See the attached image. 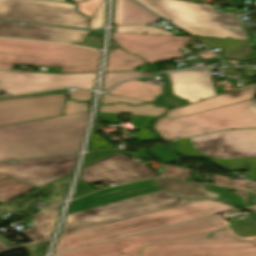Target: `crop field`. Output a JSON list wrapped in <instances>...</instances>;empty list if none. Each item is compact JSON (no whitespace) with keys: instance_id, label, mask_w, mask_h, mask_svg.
Listing matches in <instances>:
<instances>
[{"instance_id":"1","label":"crop field","mask_w":256,"mask_h":256,"mask_svg":"<svg viewBox=\"0 0 256 256\" xmlns=\"http://www.w3.org/2000/svg\"><path fill=\"white\" fill-rule=\"evenodd\" d=\"M88 112L0 127V161L79 152Z\"/></svg>"},{"instance_id":"2","label":"crop field","mask_w":256,"mask_h":256,"mask_svg":"<svg viewBox=\"0 0 256 256\" xmlns=\"http://www.w3.org/2000/svg\"><path fill=\"white\" fill-rule=\"evenodd\" d=\"M233 209V207L212 200H206L174 209L134 217L61 237L57 242L54 253Z\"/></svg>"},{"instance_id":"3","label":"crop field","mask_w":256,"mask_h":256,"mask_svg":"<svg viewBox=\"0 0 256 256\" xmlns=\"http://www.w3.org/2000/svg\"><path fill=\"white\" fill-rule=\"evenodd\" d=\"M136 1L194 36L249 40L236 13L215 12L212 5L176 0Z\"/></svg>"},{"instance_id":"4","label":"crop field","mask_w":256,"mask_h":256,"mask_svg":"<svg viewBox=\"0 0 256 256\" xmlns=\"http://www.w3.org/2000/svg\"><path fill=\"white\" fill-rule=\"evenodd\" d=\"M100 52L70 45L0 39V68L13 64L63 67L62 73L96 72Z\"/></svg>"},{"instance_id":"5","label":"crop field","mask_w":256,"mask_h":256,"mask_svg":"<svg viewBox=\"0 0 256 256\" xmlns=\"http://www.w3.org/2000/svg\"><path fill=\"white\" fill-rule=\"evenodd\" d=\"M175 151L232 171L256 169V130L223 131L175 141Z\"/></svg>"},{"instance_id":"6","label":"crop field","mask_w":256,"mask_h":256,"mask_svg":"<svg viewBox=\"0 0 256 256\" xmlns=\"http://www.w3.org/2000/svg\"><path fill=\"white\" fill-rule=\"evenodd\" d=\"M206 199L188 201L178 199L162 190L114 204L67 215L61 236L102 224L174 208Z\"/></svg>"},{"instance_id":"7","label":"crop field","mask_w":256,"mask_h":256,"mask_svg":"<svg viewBox=\"0 0 256 256\" xmlns=\"http://www.w3.org/2000/svg\"><path fill=\"white\" fill-rule=\"evenodd\" d=\"M252 100L178 118H158L154 128L167 141L228 128L256 127V114L247 106Z\"/></svg>"},{"instance_id":"8","label":"crop field","mask_w":256,"mask_h":256,"mask_svg":"<svg viewBox=\"0 0 256 256\" xmlns=\"http://www.w3.org/2000/svg\"><path fill=\"white\" fill-rule=\"evenodd\" d=\"M227 228L215 217L180 224L56 256H140L143 246Z\"/></svg>"},{"instance_id":"9","label":"crop field","mask_w":256,"mask_h":256,"mask_svg":"<svg viewBox=\"0 0 256 256\" xmlns=\"http://www.w3.org/2000/svg\"><path fill=\"white\" fill-rule=\"evenodd\" d=\"M143 247L141 256H256V242L234 236L229 229Z\"/></svg>"},{"instance_id":"10","label":"crop field","mask_w":256,"mask_h":256,"mask_svg":"<svg viewBox=\"0 0 256 256\" xmlns=\"http://www.w3.org/2000/svg\"><path fill=\"white\" fill-rule=\"evenodd\" d=\"M0 19L71 26L88 29L87 18L74 4L39 0H0Z\"/></svg>"},{"instance_id":"11","label":"crop field","mask_w":256,"mask_h":256,"mask_svg":"<svg viewBox=\"0 0 256 256\" xmlns=\"http://www.w3.org/2000/svg\"><path fill=\"white\" fill-rule=\"evenodd\" d=\"M78 154L48 157L31 160H18L17 164L10 161L0 163V179L13 178L18 181L41 187L74 170Z\"/></svg>"},{"instance_id":"12","label":"crop field","mask_w":256,"mask_h":256,"mask_svg":"<svg viewBox=\"0 0 256 256\" xmlns=\"http://www.w3.org/2000/svg\"><path fill=\"white\" fill-rule=\"evenodd\" d=\"M96 74L54 75L0 70V90L11 95L69 86L94 88Z\"/></svg>"},{"instance_id":"13","label":"crop field","mask_w":256,"mask_h":256,"mask_svg":"<svg viewBox=\"0 0 256 256\" xmlns=\"http://www.w3.org/2000/svg\"><path fill=\"white\" fill-rule=\"evenodd\" d=\"M67 94L0 100V126L61 115Z\"/></svg>"},{"instance_id":"14","label":"crop field","mask_w":256,"mask_h":256,"mask_svg":"<svg viewBox=\"0 0 256 256\" xmlns=\"http://www.w3.org/2000/svg\"><path fill=\"white\" fill-rule=\"evenodd\" d=\"M112 38L123 49L143 57L150 63L183 57L178 49L186 47L177 41L184 38L181 36L112 33Z\"/></svg>"},{"instance_id":"15","label":"crop field","mask_w":256,"mask_h":256,"mask_svg":"<svg viewBox=\"0 0 256 256\" xmlns=\"http://www.w3.org/2000/svg\"><path fill=\"white\" fill-rule=\"evenodd\" d=\"M157 176L144 164L138 165L133 159L129 160L123 155H117L82 170L80 178L86 183L119 184Z\"/></svg>"},{"instance_id":"16","label":"crop field","mask_w":256,"mask_h":256,"mask_svg":"<svg viewBox=\"0 0 256 256\" xmlns=\"http://www.w3.org/2000/svg\"><path fill=\"white\" fill-rule=\"evenodd\" d=\"M88 31L46 27L34 24L19 25L18 22L0 21V37L79 43Z\"/></svg>"},{"instance_id":"17","label":"crop field","mask_w":256,"mask_h":256,"mask_svg":"<svg viewBox=\"0 0 256 256\" xmlns=\"http://www.w3.org/2000/svg\"><path fill=\"white\" fill-rule=\"evenodd\" d=\"M166 75L171 77L174 94L192 103L216 95L209 69L174 71Z\"/></svg>"},{"instance_id":"18","label":"crop field","mask_w":256,"mask_h":256,"mask_svg":"<svg viewBox=\"0 0 256 256\" xmlns=\"http://www.w3.org/2000/svg\"><path fill=\"white\" fill-rule=\"evenodd\" d=\"M256 89L255 84H250L220 96L209 98L198 103L185 106L179 109L170 110L169 113L163 117L177 118L245 100L252 99Z\"/></svg>"},{"instance_id":"19","label":"crop field","mask_w":256,"mask_h":256,"mask_svg":"<svg viewBox=\"0 0 256 256\" xmlns=\"http://www.w3.org/2000/svg\"><path fill=\"white\" fill-rule=\"evenodd\" d=\"M60 206L30 217L34 219V221H32V224L36 227L30 230L23 228L26 231L21 233L33 240L34 242L22 246L9 248L0 241V253L49 240L58 218Z\"/></svg>"},{"instance_id":"20","label":"crop field","mask_w":256,"mask_h":256,"mask_svg":"<svg viewBox=\"0 0 256 256\" xmlns=\"http://www.w3.org/2000/svg\"><path fill=\"white\" fill-rule=\"evenodd\" d=\"M161 20L131 0H117L114 25L131 23L151 24Z\"/></svg>"},{"instance_id":"21","label":"crop field","mask_w":256,"mask_h":256,"mask_svg":"<svg viewBox=\"0 0 256 256\" xmlns=\"http://www.w3.org/2000/svg\"><path fill=\"white\" fill-rule=\"evenodd\" d=\"M163 88L161 85L133 80L116 86L108 94L153 102L156 96L162 94Z\"/></svg>"},{"instance_id":"22","label":"crop field","mask_w":256,"mask_h":256,"mask_svg":"<svg viewBox=\"0 0 256 256\" xmlns=\"http://www.w3.org/2000/svg\"><path fill=\"white\" fill-rule=\"evenodd\" d=\"M157 184L165 190H168L178 197H183L187 199H197V198H207V199H217L218 193L209 192L203 189L202 184L159 178L155 179Z\"/></svg>"},{"instance_id":"23","label":"crop field","mask_w":256,"mask_h":256,"mask_svg":"<svg viewBox=\"0 0 256 256\" xmlns=\"http://www.w3.org/2000/svg\"><path fill=\"white\" fill-rule=\"evenodd\" d=\"M197 38L205 43L209 48L224 47V56L222 58L245 60V58L253 49L252 47H248L249 41L203 37Z\"/></svg>"},{"instance_id":"24","label":"crop field","mask_w":256,"mask_h":256,"mask_svg":"<svg viewBox=\"0 0 256 256\" xmlns=\"http://www.w3.org/2000/svg\"><path fill=\"white\" fill-rule=\"evenodd\" d=\"M110 50L106 71L135 70L133 69L135 66L147 63L140 57L131 55L115 46L112 39Z\"/></svg>"},{"instance_id":"25","label":"crop field","mask_w":256,"mask_h":256,"mask_svg":"<svg viewBox=\"0 0 256 256\" xmlns=\"http://www.w3.org/2000/svg\"><path fill=\"white\" fill-rule=\"evenodd\" d=\"M166 110V107H156L155 103L144 106H128L126 104H114L111 106L102 105L99 112L113 114H134L138 116H157L164 114Z\"/></svg>"},{"instance_id":"26","label":"crop field","mask_w":256,"mask_h":256,"mask_svg":"<svg viewBox=\"0 0 256 256\" xmlns=\"http://www.w3.org/2000/svg\"><path fill=\"white\" fill-rule=\"evenodd\" d=\"M34 188L13 179L0 181V203Z\"/></svg>"},{"instance_id":"27","label":"crop field","mask_w":256,"mask_h":256,"mask_svg":"<svg viewBox=\"0 0 256 256\" xmlns=\"http://www.w3.org/2000/svg\"><path fill=\"white\" fill-rule=\"evenodd\" d=\"M132 120L129 122L135 129L139 130V134L136 137L141 142L151 141L157 139L154 133L148 131L151 122L155 117H138L131 115L129 116Z\"/></svg>"},{"instance_id":"28","label":"crop field","mask_w":256,"mask_h":256,"mask_svg":"<svg viewBox=\"0 0 256 256\" xmlns=\"http://www.w3.org/2000/svg\"><path fill=\"white\" fill-rule=\"evenodd\" d=\"M229 226L238 236H256V221L250 218L230 222Z\"/></svg>"},{"instance_id":"29","label":"crop field","mask_w":256,"mask_h":256,"mask_svg":"<svg viewBox=\"0 0 256 256\" xmlns=\"http://www.w3.org/2000/svg\"><path fill=\"white\" fill-rule=\"evenodd\" d=\"M140 76H144V75H142L139 72L106 73L104 83H103V91L110 89L118 82L140 77Z\"/></svg>"},{"instance_id":"30","label":"crop field","mask_w":256,"mask_h":256,"mask_svg":"<svg viewBox=\"0 0 256 256\" xmlns=\"http://www.w3.org/2000/svg\"><path fill=\"white\" fill-rule=\"evenodd\" d=\"M117 32H133L143 34H167L174 35V33L154 27L141 26V25H130L117 28Z\"/></svg>"},{"instance_id":"31","label":"crop field","mask_w":256,"mask_h":256,"mask_svg":"<svg viewBox=\"0 0 256 256\" xmlns=\"http://www.w3.org/2000/svg\"><path fill=\"white\" fill-rule=\"evenodd\" d=\"M170 147L171 145H166V146L150 148L147 150L156 158H158L161 162L172 163L175 160H177L178 157L177 155L173 154L170 151Z\"/></svg>"},{"instance_id":"32","label":"crop field","mask_w":256,"mask_h":256,"mask_svg":"<svg viewBox=\"0 0 256 256\" xmlns=\"http://www.w3.org/2000/svg\"><path fill=\"white\" fill-rule=\"evenodd\" d=\"M158 103L160 104H166V105H172V106H177V107H182L188 104H191L189 102H186L172 94L171 87H170V82L168 81L165 95L162 97H159L157 99Z\"/></svg>"},{"instance_id":"33","label":"crop field","mask_w":256,"mask_h":256,"mask_svg":"<svg viewBox=\"0 0 256 256\" xmlns=\"http://www.w3.org/2000/svg\"><path fill=\"white\" fill-rule=\"evenodd\" d=\"M213 177H214L215 185H223V186H229V187L249 190L248 185L250 182L241 181V180H233L230 178L221 177V176H217L214 174H213Z\"/></svg>"},{"instance_id":"34","label":"crop field","mask_w":256,"mask_h":256,"mask_svg":"<svg viewBox=\"0 0 256 256\" xmlns=\"http://www.w3.org/2000/svg\"><path fill=\"white\" fill-rule=\"evenodd\" d=\"M106 9V0H103L95 13L90 18V29L101 28L104 25V15Z\"/></svg>"},{"instance_id":"35","label":"crop field","mask_w":256,"mask_h":256,"mask_svg":"<svg viewBox=\"0 0 256 256\" xmlns=\"http://www.w3.org/2000/svg\"><path fill=\"white\" fill-rule=\"evenodd\" d=\"M108 148H114V147L109 145L103 138L97 136L94 132H92L91 138L89 141L88 150L94 151V150H102V149H108Z\"/></svg>"},{"instance_id":"36","label":"crop field","mask_w":256,"mask_h":256,"mask_svg":"<svg viewBox=\"0 0 256 256\" xmlns=\"http://www.w3.org/2000/svg\"><path fill=\"white\" fill-rule=\"evenodd\" d=\"M190 172L191 169L177 168L167 165L163 175L167 177L186 179Z\"/></svg>"},{"instance_id":"37","label":"crop field","mask_w":256,"mask_h":256,"mask_svg":"<svg viewBox=\"0 0 256 256\" xmlns=\"http://www.w3.org/2000/svg\"><path fill=\"white\" fill-rule=\"evenodd\" d=\"M80 111H88L87 103H77L72 100H67L63 115Z\"/></svg>"},{"instance_id":"38","label":"crop field","mask_w":256,"mask_h":256,"mask_svg":"<svg viewBox=\"0 0 256 256\" xmlns=\"http://www.w3.org/2000/svg\"><path fill=\"white\" fill-rule=\"evenodd\" d=\"M102 0H89L85 3L79 4V11L89 17L94 13Z\"/></svg>"},{"instance_id":"39","label":"crop field","mask_w":256,"mask_h":256,"mask_svg":"<svg viewBox=\"0 0 256 256\" xmlns=\"http://www.w3.org/2000/svg\"><path fill=\"white\" fill-rule=\"evenodd\" d=\"M118 151H122V150H110V151H103V152H96V153H87L84 167Z\"/></svg>"},{"instance_id":"40","label":"crop field","mask_w":256,"mask_h":256,"mask_svg":"<svg viewBox=\"0 0 256 256\" xmlns=\"http://www.w3.org/2000/svg\"><path fill=\"white\" fill-rule=\"evenodd\" d=\"M115 102H125L127 104H132V105L145 103L143 101H137V100H132V99H127V98L116 97V96L104 94L102 104H111V103H115Z\"/></svg>"},{"instance_id":"41","label":"crop field","mask_w":256,"mask_h":256,"mask_svg":"<svg viewBox=\"0 0 256 256\" xmlns=\"http://www.w3.org/2000/svg\"><path fill=\"white\" fill-rule=\"evenodd\" d=\"M71 98L77 101H84V100H89L91 99L92 92L82 90V89H77L73 91H69Z\"/></svg>"},{"instance_id":"42","label":"crop field","mask_w":256,"mask_h":256,"mask_svg":"<svg viewBox=\"0 0 256 256\" xmlns=\"http://www.w3.org/2000/svg\"><path fill=\"white\" fill-rule=\"evenodd\" d=\"M48 242L28 246L26 249L29 251L30 256H40L45 252Z\"/></svg>"},{"instance_id":"43","label":"crop field","mask_w":256,"mask_h":256,"mask_svg":"<svg viewBox=\"0 0 256 256\" xmlns=\"http://www.w3.org/2000/svg\"><path fill=\"white\" fill-rule=\"evenodd\" d=\"M77 45H82V46H87V47L100 49L101 38L94 37V36H91V35H87L86 42L80 43V44H77Z\"/></svg>"},{"instance_id":"44","label":"crop field","mask_w":256,"mask_h":256,"mask_svg":"<svg viewBox=\"0 0 256 256\" xmlns=\"http://www.w3.org/2000/svg\"><path fill=\"white\" fill-rule=\"evenodd\" d=\"M94 191V189H92L90 186H88L84 181H82L81 179H79V183H78V187H77V192H76V197H80L82 195H85L87 193H90Z\"/></svg>"},{"instance_id":"45","label":"crop field","mask_w":256,"mask_h":256,"mask_svg":"<svg viewBox=\"0 0 256 256\" xmlns=\"http://www.w3.org/2000/svg\"><path fill=\"white\" fill-rule=\"evenodd\" d=\"M98 117L106 122L117 123L119 115L99 113Z\"/></svg>"},{"instance_id":"46","label":"crop field","mask_w":256,"mask_h":256,"mask_svg":"<svg viewBox=\"0 0 256 256\" xmlns=\"http://www.w3.org/2000/svg\"><path fill=\"white\" fill-rule=\"evenodd\" d=\"M253 204H256V193L250 192L246 206L253 205Z\"/></svg>"},{"instance_id":"47","label":"crop field","mask_w":256,"mask_h":256,"mask_svg":"<svg viewBox=\"0 0 256 256\" xmlns=\"http://www.w3.org/2000/svg\"><path fill=\"white\" fill-rule=\"evenodd\" d=\"M67 92H68V89H65V90L50 91V92H44L39 94L27 95V96L42 95L46 93H67ZM20 97H26V96H20ZM0 99H4V98H0Z\"/></svg>"},{"instance_id":"48","label":"crop field","mask_w":256,"mask_h":256,"mask_svg":"<svg viewBox=\"0 0 256 256\" xmlns=\"http://www.w3.org/2000/svg\"><path fill=\"white\" fill-rule=\"evenodd\" d=\"M249 192L246 191H242V190H236V194L240 195L242 198H244V203L243 205H245V202L247 200V196H248Z\"/></svg>"},{"instance_id":"49","label":"crop field","mask_w":256,"mask_h":256,"mask_svg":"<svg viewBox=\"0 0 256 256\" xmlns=\"http://www.w3.org/2000/svg\"><path fill=\"white\" fill-rule=\"evenodd\" d=\"M250 110L256 113V99H254L248 107Z\"/></svg>"},{"instance_id":"50","label":"crop field","mask_w":256,"mask_h":256,"mask_svg":"<svg viewBox=\"0 0 256 256\" xmlns=\"http://www.w3.org/2000/svg\"><path fill=\"white\" fill-rule=\"evenodd\" d=\"M248 174H249L251 180L256 181V171L255 170L248 171Z\"/></svg>"},{"instance_id":"51","label":"crop field","mask_w":256,"mask_h":256,"mask_svg":"<svg viewBox=\"0 0 256 256\" xmlns=\"http://www.w3.org/2000/svg\"><path fill=\"white\" fill-rule=\"evenodd\" d=\"M138 152H139L140 158L149 159L146 152H145V149L139 150Z\"/></svg>"},{"instance_id":"52","label":"crop field","mask_w":256,"mask_h":256,"mask_svg":"<svg viewBox=\"0 0 256 256\" xmlns=\"http://www.w3.org/2000/svg\"><path fill=\"white\" fill-rule=\"evenodd\" d=\"M92 33L96 36L102 37L103 30H95V31H92Z\"/></svg>"},{"instance_id":"53","label":"crop field","mask_w":256,"mask_h":256,"mask_svg":"<svg viewBox=\"0 0 256 256\" xmlns=\"http://www.w3.org/2000/svg\"><path fill=\"white\" fill-rule=\"evenodd\" d=\"M59 202H60V201H57V202H55V203H53V204H50V205H48V206H46V207H43L42 209H43V210H46V209H48V208H50V207H52V206H54V205L59 204Z\"/></svg>"},{"instance_id":"54","label":"crop field","mask_w":256,"mask_h":256,"mask_svg":"<svg viewBox=\"0 0 256 256\" xmlns=\"http://www.w3.org/2000/svg\"><path fill=\"white\" fill-rule=\"evenodd\" d=\"M190 40H193V38H192V37H186V38H184V39H181L180 41H182L183 43H185V42H188V41H190Z\"/></svg>"},{"instance_id":"55","label":"crop field","mask_w":256,"mask_h":256,"mask_svg":"<svg viewBox=\"0 0 256 256\" xmlns=\"http://www.w3.org/2000/svg\"><path fill=\"white\" fill-rule=\"evenodd\" d=\"M121 154H127V155H130V156H133V157H136L137 158V156H136V153H133V154H131L130 152H123V153H121Z\"/></svg>"},{"instance_id":"56","label":"crop field","mask_w":256,"mask_h":256,"mask_svg":"<svg viewBox=\"0 0 256 256\" xmlns=\"http://www.w3.org/2000/svg\"><path fill=\"white\" fill-rule=\"evenodd\" d=\"M227 81H228L229 84L233 85L234 88H236L231 78H230V79H227Z\"/></svg>"},{"instance_id":"57","label":"crop field","mask_w":256,"mask_h":256,"mask_svg":"<svg viewBox=\"0 0 256 256\" xmlns=\"http://www.w3.org/2000/svg\"><path fill=\"white\" fill-rule=\"evenodd\" d=\"M251 187H252L253 191L256 192V183H252Z\"/></svg>"},{"instance_id":"58","label":"crop field","mask_w":256,"mask_h":256,"mask_svg":"<svg viewBox=\"0 0 256 256\" xmlns=\"http://www.w3.org/2000/svg\"><path fill=\"white\" fill-rule=\"evenodd\" d=\"M212 60H218L217 58H207L205 61H212Z\"/></svg>"},{"instance_id":"59","label":"crop field","mask_w":256,"mask_h":256,"mask_svg":"<svg viewBox=\"0 0 256 256\" xmlns=\"http://www.w3.org/2000/svg\"><path fill=\"white\" fill-rule=\"evenodd\" d=\"M216 90H217L218 94L223 92L222 88H219V89H216Z\"/></svg>"},{"instance_id":"60","label":"crop field","mask_w":256,"mask_h":256,"mask_svg":"<svg viewBox=\"0 0 256 256\" xmlns=\"http://www.w3.org/2000/svg\"><path fill=\"white\" fill-rule=\"evenodd\" d=\"M250 210H253V211H255V212H256V207H254V208H250Z\"/></svg>"},{"instance_id":"61","label":"crop field","mask_w":256,"mask_h":256,"mask_svg":"<svg viewBox=\"0 0 256 256\" xmlns=\"http://www.w3.org/2000/svg\"><path fill=\"white\" fill-rule=\"evenodd\" d=\"M74 1L79 2V1H82V0H74Z\"/></svg>"},{"instance_id":"62","label":"crop field","mask_w":256,"mask_h":256,"mask_svg":"<svg viewBox=\"0 0 256 256\" xmlns=\"http://www.w3.org/2000/svg\"><path fill=\"white\" fill-rule=\"evenodd\" d=\"M59 1H64V0H59Z\"/></svg>"}]
</instances>
